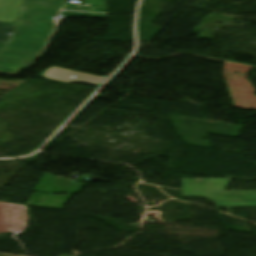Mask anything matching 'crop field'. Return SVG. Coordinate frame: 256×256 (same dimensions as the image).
Segmentation results:
<instances>
[{"instance_id":"crop-field-2","label":"crop field","mask_w":256,"mask_h":256,"mask_svg":"<svg viewBox=\"0 0 256 256\" xmlns=\"http://www.w3.org/2000/svg\"><path fill=\"white\" fill-rule=\"evenodd\" d=\"M184 197L207 198L217 207L256 206V191L253 192H203L183 191Z\"/></svg>"},{"instance_id":"crop-field-6","label":"crop field","mask_w":256,"mask_h":256,"mask_svg":"<svg viewBox=\"0 0 256 256\" xmlns=\"http://www.w3.org/2000/svg\"><path fill=\"white\" fill-rule=\"evenodd\" d=\"M64 9L76 11L107 12L105 0H84L79 8L65 7Z\"/></svg>"},{"instance_id":"crop-field-4","label":"crop field","mask_w":256,"mask_h":256,"mask_svg":"<svg viewBox=\"0 0 256 256\" xmlns=\"http://www.w3.org/2000/svg\"><path fill=\"white\" fill-rule=\"evenodd\" d=\"M39 53L36 51L6 49L0 52V60L25 64Z\"/></svg>"},{"instance_id":"crop-field-1","label":"crop field","mask_w":256,"mask_h":256,"mask_svg":"<svg viewBox=\"0 0 256 256\" xmlns=\"http://www.w3.org/2000/svg\"><path fill=\"white\" fill-rule=\"evenodd\" d=\"M62 6L22 2L15 24L16 36L9 48L42 51Z\"/></svg>"},{"instance_id":"crop-field-7","label":"crop field","mask_w":256,"mask_h":256,"mask_svg":"<svg viewBox=\"0 0 256 256\" xmlns=\"http://www.w3.org/2000/svg\"><path fill=\"white\" fill-rule=\"evenodd\" d=\"M16 26L14 24L0 23V50L11 42ZM8 33H11L10 36H7Z\"/></svg>"},{"instance_id":"crop-field-10","label":"crop field","mask_w":256,"mask_h":256,"mask_svg":"<svg viewBox=\"0 0 256 256\" xmlns=\"http://www.w3.org/2000/svg\"><path fill=\"white\" fill-rule=\"evenodd\" d=\"M27 2H37V3H48V4H58L63 5L64 0H22Z\"/></svg>"},{"instance_id":"crop-field-9","label":"crop field","mask_w":256,"mask_h":256,"mask_svg":"<svg viewBox=\"0 0 256 256\" xmlns=\"http://www.w3.org/2000/svg\"><path fill=\"white\" fill-rule=\"evenodd\" d=\"M62 14H65V15H68V16L107 18V15L93 14V13H81V12L62 11Z\"/></svg>"},{"instance_id":"crop-field-3","label":"crop field","mask_w":256,"mask_h":256,"mask_svg":"<svg viewBox=\"0 0 256 256\" xmlns=\"http://www.w3.org/2000/svg\"><path fill=\"white\" fill-rule=\"evenodd\" d=\"M230 179H182L183 190L224 191Z\"/></svg>"},{"instance_id":"crop-field-11","label":"crop field","mask_w":256,"mask_h":256,"mask_svg":"<svg viewBox=\"0 0 256 256\" xmlns=\"http://www.w3.org/2000/svg\"><path fill=\"white\" fill-rule=\"evenodd\" d=\"M0 256H13V255L0 254Z\"/></svg>"},{"instance_id":"crop-field-8","label":"crop field","mask_w":256,"mask_h":256,"mask_svg":"<svg viewBox=\"0 0 256 256\" xmlns=\"http://www.w3.org/2000/svg\"><path fill=\"white\" fill-rule=\"evenodd\" d=\"M25 65L0 61V72L18 73Z\"/></svg>"},{"instance_id":"crop-field-5","label":"crop field","mask_w":256,"mask_h":256,"mask_svg":"<svg viewBox=\"0 0 256 256\" xmlns=\"http://www.w3.org/2000/svg\"><path fill=\"white\" fill-rule=\"evenodd\" d=\"M21 0H0V22L14 23Z\"/></svg>"}]
</instances>
